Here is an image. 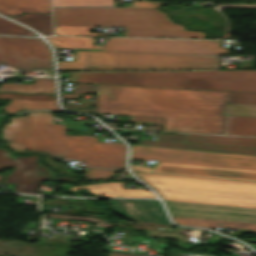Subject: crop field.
Instances as JSON below:
<instances>
[{
  "mask_svg": "<svg viewBox=\"0 0 256 256\" xmlns=\"http://www.w3.org/2000/svg\"><path fill=\"white\" fill-rule=\"evenodd\" d=\"M138 144L256 155V148L254 147H238V146L199 144V143L163 141V140H146V139H140Z\"/></svg>",
  "mask_w": 256,
  "mask_h": 256,
  "instance_id": "obj_14",
  "label": "crop field"
},
{
  "mask_svg": "<svg viewBox=\"0 0 256 256\" xmlns=\"http://www.w3.org/2000/svg\"><path fill=\"white\" fill-rule=\"evenodd\" d=\"M11 149L24 154L28 150H43L47 164L60 169V174H73L66 166L54 162L55 157L78 159L85 166L125 169L124 143H97L95 136H48L8 141Z\"/></svg>",
  "mask_w": 256,
  "mask_h": 256,
  "instance_id": "obj_6",
  "label": "crop field"
},
{
  "mask_svg": "<svg viewBox=\"0 0 256 256\" xmlns=\"http://www.w3.org/2000/svg\"><path fill=\"white\" fill-rule=\"evenodd\" d=\"M241 69L253 70L70 73V82L256 93L252 61L244 62Z\"/></svg>",
  "mask_w": 256,
  "mask_h": 256,
  "instance_id": "obj_5",
  "label": "crop field"
},
{
  "mask_svg": "<svg viewBox=\"0 0 256 256\" xmlns=\"http://www.w3.org/2000/svg\"><path fill=\"white\" fill-rule=\"evenodd\" d=\"M23 12L50 13L49 0H0V13L19 15Z\"/></svg>",
  "mask_w": 256,
  "mask_h": 256,
  "instance_id": "obj_17",
  "label": "crop field"
},
{
  "mask_svg": "<svg viewBox=\"0 0 256 256\" xmlns=\"http://www.w3.org/2000/svg\"><path fill=\"white\" fill-rule=\"evenodd\" d=\"M131 147L130 159L158 160L155 168L131 166L133 171L256 181V156L143 145Z\"/></svg>",
  "mask_w": 256,
  "mask_h": 256,
  "instance_id": "obj_4",
  "label": "crop field"
},
{
  "mask_svg": "<svg viewBox=\"0 0 256 256\" xmlns=\"http://www.w3.org/2000/svg\"><path fill=\"white\" fill-rule=\"evenodd\" d=\"M65 135L64 124H53V114L49 111H33L29 116L11 118V122L2 126V140Z\"/></svg>",
  "mask_w": 256,
  "mask_h": 256,
  "instance_id": "obj_11",
  "label": "crop field"
},
{
  "mask_svg": "<svg viewBox=\"0 0 256 256\" xmlns=\"http://www.w3.org/2000/svg\"><path fill=\"white\" fill-rule=\"evenodd\" d=\"M88 180L111 179L118 172L114 170L89 168L84 171Z\"/></svg>",
  "mask_w": 256,
  "mask_h": 256,
  "instance_id": "obj_27",
  "label": "crop field"
},
{
  "mask_svg": "<svg viewBox=\"0 0 256 256\" xmlns=\"http://www.w3.org/2000/svg\"><path fill=\"white\" fill-rule=\"evenodd\" d=\"M99 51L194 53L228 55L219 41L184 39L108 38Z\"/></svg>",
  "mask_w": 256,
  "mask_h": 256,
  "instance_id": "obj_8",
  "label": "crop field"
},
{
  "mask_svg": "<svg viewBox=\"0 0 256 256\" xmlns=\"http://www.w3.org/2000/svg\"><path fill=\"white\" fill-rule=\"evenodd\" d=\"M129 222L132 226L135 228H140V229H151V230H156L157 227H170V225H164V224H150V223H139V222Z\"/></svg>",
  "mask_w": 256,
  "mask_h": 256,
  "instance_id": "obj_30",
  "label": "crop field"
},
{
  "mask_svg": "<svg viewBox=\"0 0 256 256\" xmlns=\"http://www.w3.org/2000/svg\"><path fill=\"white\" fill-rule=\"evenodd\" d=\"M172 219L178 224H184L188 226L208 227L211 229L213 228L217 229V227L244 228V229H249L247 232L256 233V224L209 221V220H198V219L177 218V217H172Z\"/></svg>",
  "mask_w": 256,
  "mask_h": 256,
  "instance_id": "obj_20",
  "label": "crop field"
},
{
  "mask_svg": "<svg viewBox=\"0 0 256 256\" xmlns=\"http://www.w3.org/2000/svg\"><path fill=\"white\" fill-rule=\"evenodd\" d=\"M35 83L13 84L12 82L1 84L0 92L38 93L45 92L55 95L54 78H34Z\"/></svg>",
  "mask_w": 256,
  "mask_h": 256,
  "instance_id": "obj_18",
  "label": "crop field"
},
{
  "mask_svg": "<svg viewBox=\"0 0 256 256\" xmlns=\"http://www.w3.org/2000/svg\"><path fill=\"white\" fill-rule=\"evenodd\" d=\"M224 134L256 136V117L227 115Z\"/></svg>",
  "mask_w": 256,
  "mask_h": 256,
  "instance_id": "obj_19",
  "label": "crop field"
},
{
  "mask_svg": "<svg viewBox=\"0 0 256 256\" xmlns=\"http://www.w3.org/2000/svg\"><path fill=\"white\" fill-rule=\"evenodd\" d=\"M47 216H51V217H61V218H71V219H81V220H91V221H96L95 226H102V227H111L114 224L111 223H107L101 219H95V218H85V217H75V216H65V215H55V214H47L45 213ZM117 226H125L127 227L124 223H116Z\"/></svg>",
  "mask_w": 256,
  "mask_h": 256,
  "instance_id": "obj_29",
  "label": "crop field"
},
{
  "mask_svg": "<svg viewBox=\"0 0 256 256\" xmlns=\"http://www.w3.org/2000/svg\"><path fill=\"white\" fill-rule=\"evenodd\" d=\"M226 103L256 104V94L230 92Z\"/></svg>",
  "mask_w": 256,
  "mask_h": 256,
  "instance_id": "obj_26",
  "label": "crop field"
},
{
  "mask_svg": "<svg viewBox=\"0 0 256 256\" xmlns=\"http://www.w3.org/2000/svg\"><path fill=\"white\" fill-rule=\"evenodd\" d=\"M59 71L217 69L218 55L76 51Z\"/></svg>",
  "mask_w": 256,
  "mask_h": 256,
  "instance_id": "obj_7",
  "label": "crop field"
},
{
  "mask_svg": "<svg viewBox=\"0 0 256 256\" xmlns=\"http://www.w3.org/2000/svg\"><path fill=\"white\" fill-rule=\"evenodd\" d=\"M42 155L21 157L0 148V170L14 167L3 183L16 184L15 192L37 193L43 180L73 182L76 178L70 176L57 177L53 170L45 168L38 159ZM4 175H0V180Z\"/></svg>",
  "mask_w": 256,
  "mask_h": 256,
  "instance_id": "obj_9",
  "label": "crop field"
},
{
  "mask_svg": "<svg viewBox=\"0 0 256 256\" xmlns=\"http://www.w3.org/2000/svg\"><path fill=\"white\" fill-rule=\"evenodd\" d=\"M56 34L97 35L89 27L120 26L128 37L206 38L205 32L187 31L156 8H54Z\"/></svg>",
  "mask_w": 256,
  "mask_h": 256,
  "instance_id": "obj_3",
  "label": "crop field"
},
{
  "mask_svg": "<svg viewBox=\"0 0 256 256\" xmlns=\"http://www.w3.org/2000/svg\"><path fill=\"white\" fill-rule=\"evenodd\" d=\"M157 139L256 147V138L248 137L209 136L176 133V135L157 134Z\"/></svg>",
  "mask_w": 256,
  "mask_h": 256,
  "instance_id": "obj_15",
  "label": "crop field"
},
{
  "mask_svg": "<svg viewBox=\"0 0 256 256\" xmlns=\"http://www.w3.org/2000/svg\"><path fill=\"white\" fill-rule=\"evenodd\" d=\"M165 2H132L133 6L124 7H160ZM54 6H113V0H54Z\"/></svg>",
  "mask_w": 256,
  "mask_h": 256,
  "instance_id": "obj_21",
  "label": "crop field"
},
{
  "mask_svg": "<svg viewBox=\"0 0 256 256\" xmlns=\"http://www.w3.org/2000/svg\"><path fill=\"white\" fill-rule=\"evenodd\" d=\"M0 34L36 36L27 28L21 27L9 20L0 17Z\"/></svg>",
  "mask_w": 256,
  "mask_h": 256,
  "instance_id": "obj_24",
  "label": "crop field"
},
{
  "mask_svg": "<svg viewBox=\"0 0 256 256\" xmlns=\"http://www.w3.org/2000/svg\"><path fill=\"white\" fill-rule=\"evenodd\" d=\"M0 98L11 99L9 104L3 106L6 113H12L23 108L25 111L30 109H52L56 111L60 110L56 98L51 95L0 93Z\"/></svg>",
  "mask_w": 256,
  "mask_h": 256,
  "instance_id": "obj_13",
  "label": "crop field"
},
{
  "mask_svg": "<svg viewBox=\"0 0 256 256\" xmlns=\"http://www.w3.org/2000/svg\"><path fill=\"white\" fill-rule=\"evenodd\" d=\"M250 246H252V247H254L255 249H256V245H254V244H249Z\"/></svg>",
  "mask_w": 256,
  "mask_h": 256,
  "instance_id": "obj_32",
  "label": "crop field"
},
{
  "mask_svg": "<svg viewBox=\"0 0 256 256\" xmlns=\"http://www.w3.org/2000/svg\"><path fill=\"white\" fill-rule=\"evenodd\" d=\"M109 256H137V255H127V254H118L109 252Z\"/></svg>",
  "mask_w": 256,
  "mask_h": 256,
  "instance_id": "obj_31",
  "label": "crop field"
},
{
  "mask_svg": "<svg viewBox=\"0 0 256 256\" xmlns=\"http://www.w3.org/2000/svg\"><path fill=\"white\" fill-rule=\"evenodd\" d=\"M114 213L130 220L170 224L157 200H111Z\"/></svg>",
  "mask_w": 256,
  "mask_h": 256,
  "instance_id": "obj_12",
  "label": "crop field"
},
{
  "mask_svg": "<svg viewBox=\"0 0 256 256\" xmlns=\"http://www.w3.org/2000/svg\"><path fill=\"white\" fill-rule=\"evenodd\" d=\"M222 114L256 116V105L226 104Z\"/></svg>",
  "mask_w": 256,
  "mask_h": 256,
  "instance_id": "obj_25",
  "label": "crop field"
},
{
  "mask_svg": "<svg viewBox=\"0 0 256 256\" xmlns=\"http://www.w3.org/2000/svg\"><path fill=\"white\" fill-rule=\"evenodd\" d=\"M78 93H96V85L75 84L72 94L62 93V98L74 99Z\"/></svg>",
  "mask_w": 256,
  "mask_h": 256,
  "instance_id": "obj_28",
  "label": "crop field"
},
{
  "mask_svg": "<svg viewBox=\"0 0 256 256\" xmlns=\"http://www.w3.org/2000/svg\"><path fill=\"white\" fill-rule=\"evenodd\" d=\"M22 22L33 29L43 33L44 35L52 34V25L50 15L45 14H24L20 17H10Z\"/></svg>",
  "mask_w": 256,
  "mask_h": 256,
  "instance_id": "obj_22",
  "label": "crop field"
},
{
  "mask_svg": "<svg viewBox=\"0 0 256 256\" xmlns=\"http://www.w3.org/2000/svg\"><path fill=\"white\" fill-rule=\"evenodd\" d=\"M135 173L164 199L172 216L256 223V182Z\"/></svg>",
  "mask_w": 256,
  "mask_h": 256,
  "instance_id": "obj_2",
  "label": "crop field"
},
{
  "mask_svg": "<svg viewBox=\"0 0 256 256\" xmlns=\"http://www.w3.org/2000/svg\"><path fill=\"white\" fill-rule=\"evenodd\" d=\"M47 39L54 45V47L88 49H100L101 47L98 45H92L94 38L56 36L54 38Z\"/></svg>",
  "mask_w": 256,
  "mask_h": 256,
  "instance_id": "obj_23",
  "label": "crop field"
},
{
  "mask_svg": "<svg viewBox=\"0 0 256 256\" xmlns=\"http://www.w3.org/2000/svg\"><path fill=\"white\" fill-rule=\"evenodd\" d=\"M124 182H105L96 183L87 186H75L70 188L71 191L78 189H88L91 194L103 195L108 197H156L153 193L146 190L123 189ZM103 192L104 194H100Z\"/></svg>",
  "mask_w": 256,
  "mask_h": 256,
  "instance_id": "obj_16",
  "label": "crop field"
},
{
  "mask_svg": "<svg viewBox=\"0 0 256 256\" xmlns=\"http://www.w3.org/2000/svg\"><path fill=\"white\" fill-rule=\"evenodd\" d=\"M228 93L97 85L96 113L165 118L163 130L223 134Z\"/></svg>",
  "mask_w": 256,
  "mask_h": 256,
  "instance_id": "obj_1",
  "label": "crop field"
},
{
  "mask_svg": "<svg viewBox=\"0 0 256 256\" xmlns=\"http://www.w3.org/2000/svg\"><path fill=\"white\" fill-rule=\"evenodd\" d=\"M0 62L16 70H46L53 75L51 51L40 38L0 36Z\"/></svg>",
  "mask_w": 256,
  "mask_h": 256,
  "instance_id": "obj_10",
  "label": "crop field"
}]
</instances>
